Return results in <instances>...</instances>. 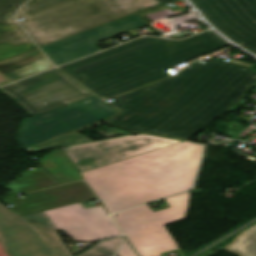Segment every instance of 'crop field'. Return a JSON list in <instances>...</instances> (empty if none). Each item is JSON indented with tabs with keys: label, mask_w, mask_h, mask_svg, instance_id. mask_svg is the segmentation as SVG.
Returning <instances> with one entry per match:
<instances>
[{
	"label": "crop field",
	"mask_w": 256,
	"mask_h": 256,
	"mask_svg": "<svg viewBox=\"0 0 256 256\" xmlns=\"http://www.w3.org/2000/svg\"><path fill=\"white\" fill-rule=\"evenodd\" d=\"M195 61L167 80L115 98L120 113L104 121L127 131L189 140L239 102L256 83L253 64Z\"/></svg>",
	"instance_id": "crop-field-1"
},
{
	"label": "crop field",
	"mask_w": 256,
	"mask_h": 256,
	"mask_svg": "<svg viewBox=\"0 0 256 256\" xmlns=\"http://www.w3.org/2000/svg\"><path fill=\"white\" fill-rule=\"evenodd\" d=\"M226 45L211 31L182 41L145 37L59 68L96 95L107 99L171 76L162 70Z\"/></svg>",
	"instance_id": "crop-field-2"
},
{
	"label": "crop field",
	"mask_w": 256,
	"mask_h": 256,
	"mask_svg": "<svg viewBox=\"0 0 256 256\" xmlns=\"http://www.w3.org/2000/svg\"><path fill=\"white\" fill-rule=\"evenodd\" d=\"M203 146L183 142L81 174L113 213L192 188Z\"/></svg>",
	"instance_id": "crop-field-3"
},
{
	"label": "crop field",
	"mask_w": 256,
	"mask_h": 256,
	"mask_svg": "<svg viewBox=\"0 0 256 256\" xmlns=\"http://www.w3.org/2000/svg\"><path fill=\"white\" fill-rule=\"evenodd\" d=\"M161 3L155 0H31L15 18L39 46Z\"/></svg>",
	"instance_id": "crop-field-4"
},
{
	"label": "crop field",
	"mask_w": 256,
	"mask_h": 256,
	"mask_svg": "<svg viewBox=\"0 0 256 256\" xmlns=\"http://www.w3.org/2000/svg\"><path fill=\"white\" fill-rule=\"evenodd\" d=\"M189 193L166 198L172 206L153 213L147 205L112 215L141 256L178 249L163 225L185 218Z\"/></svg>",
	"instance_id": "crop-field-5"
},
{
	"label": "crop field",
	"mask_w": 256,
	"mask_h": 256,
	"mask_svg": "<svg viewBox=\"0 0 256 256\" xmlns=\"http://www.w3.org/2000/svg\"><path fill=\"white\" fill-rule=\"evenodd\" d=\"M114 109L95 96L52 112L25 119L17 138L22 150L27 151L75 131H82L115 113Z\"/></svg>",
	"instance_id": "crop-field-6"
},
{
	"label": "crop field",
	"mask_w": 256,
	"mask_h": 256,
	"mask_svg": "<svg viewBox=\"0 0 256 256\" xmlns=\"http://www.w3.org/2000/svg\"><path fill=\"white\" fill-rule=\"evenodd\" d=\"M0 242L9 256H73L44 212L21 217L1 203Z\"/></svg>",
	"instance_id": "crop-field-7"
},
{
	"label": "crop field",
	"mask_w": 256,
	"mask_h": 256,
	"mask_svg": "<svg viewBox=\"0 0 256 256\" xmlns=\"http://www.w3.org/2000/svg\"><path fill=\"white\" fill-rule=\"evenodd\" d=\"M32 117L93 96L54 69L0 89Z\"/></svg>",
	"instance_id": "crop-field-8"
},
{
	"label": "crop field",
	"mask_w": 256,
	"mask_h": 256,
	"mask_svg": "<svg viewBox=\"0 0 256 256\" xmlns=\"http://www.w3.org/2000/svg\"><path fill=\"white\" fill-rule=\"evenodd\" d=\"M179 142L182 141L138 134L70 146L65 153L81 172Z\"/></svg>",
	"instance_id": "crop-field-9"
},
{
	"label": "crop field",
	"mask_w": 256,
	"mask_h": 256,
	"mask_svg": "<svg viewBox=\"0 0 256 256\" xmlns=\"http://www.w3.org/2000/svg\"><path fill=\"white\" fill-rule=\"evenodd\" d=\"M190 1L220 32L256 54V0Z\"/></svg>",
	"instance_id": "crop-field-10"
},
{
	"label": "crop field",
	"mask_w": 256,
	"mask_h": 256,
	"mask_svg": "<svg viewBox=\"0 0 256 256\" xmlns=\"http://www.w3.org/2000/svg\"><path fill=\"white\" fill-rule=\"evenodd\" d=\"M45 214L55 230L63 229L73 241L92 242L122 235L102 206L84 209L78 203Z\"/></svg>",
	"instance_id": "crop-field-11"
},
{
	"label": "crop field",
	"mask_w": 256,
	"mask_h": 256,
	"mask_svg": "<svg viewBox=\"0 0 256 256\" xmlns=\"http://www.w3.org/2000/svg\"><path fill=\"white\" fill-rule=\"evenodd\" d=\"M147 24V22L135 13L89 31L41 47V49L49 59L58 66L68 61L100 51V49L92 44L94 42Z\"/></svg>",
	"instance_id": "crop-field-12"
},
{
	"label": "crop field",
	"mask_w": 256,
	"mask_h": 256,
	"mask_svg": "<svg viewBox=\"0 0 256 256\" xmlns=\"http://www.w3.org/2000/svg\"><path fill=\"white\" fill-rule=\"evenodd\" d=\"M26 195L28 196L26 199L15 200L11 198L3 201L12 204L14 207L11 209L24 216L95 198L84 182H76Z\"/></svg>",
	"instance_id": "crop-field-13"
},
{
	"label": "crop field",
	"mask_w": 256,
	"mask_h": 256,
	"mask_svg": "<svg viewBox=\"0 0 256 256\" xmlns=\"http://www.w3.org/2000/svg\"><path fill=\"white\" fill-rule=\"evenodd\" d=\"M27 0H0V61L37 47L12 19L14 11Z\"/></svg>",
	"instance_id": "crop-field-14"
},
{
	"label": "crop field",
	"mask_w": 256,
	"mask_h": 256,
	"mask_svg": "<svg viewBox=\"0 0 256 256\" xmlns=\"http://www.w3.org/2000/svg\"><path fill=\"white\" fill-rule=\"evenodd\" d=\"M51 67H53V65L38 49L2 61L0 62V86L36 74Z\"/></svg>",
	"instance_id": "crop-field-15"
},
{
	"label": "crop field",
	"mask_w": 256,
	"mask_h": 256,
	"mask_svg": "<svg viewBox=\"0 0 256 256\" xmlns=\"http://www.w3.org/2000/svg\"><path fill=\"white\" fill-rule=\"evenodd\" d=\"M39 163L59 185L82 179L71 166L61 149L52 152L40 160Z\"/></svg>",
	"instance_id": "crop-field-16"
},
{
	"label": "crop field",
	"mask_w": 256,
	"mask_h": 256,
	"mask_svg": "<svg viewBox=\"0 0 256 256\" xmlns=\"http://www.w3.org/2000/svg\"><path fill=\"white\" fill-rule=\"evenodd\" d=\"M52 186H56V184L47 174L39 169L23 174L17 181H13L5 187L15 191L16 193H26Z\"/></svg>",
	"instance_id": "crop-field-17"
},
{
	"label": "crop field",
	"mask_w": 256,
	"mask_h": 256,
	"mask_svg": "<svg viewBox=\"0 0 256 256\" xmlns=\"http://www.w3.org/2000/svg\"><path fill=\"white\" fill-rule=\"evenodd\" d=\"M225 250L241 256H256V224L237 236Z\"/></svg>",
	"instance_id": "crop-field-18"
},
{
	"label": "crop field",
	"mask_w": 256,
	"mask_h": 256,
	"mask_svg": "<svg viewBox=\"0 0 256 256\" xmlns=\"http://www.w3.org/2000/svg\"><path fill=\"white\" fill-rule=\"evenodd\" d=\"M86 142H92V140L80 133L75 132L73 134L67 135L65 137H62L60 139H57V140L47 143L45 145H42V146H39L32 150H29L27 152L28 153L38 152V151L54 149V148H59V147H65V146H70V145H76V144H81V143H86Z\"/></svg>",
	"instance_id": "crop-field-19"
},
{
	"label": "crop field",
	"mask_w": 256,
	"mask_h": 256,
	"mask_svg": "<svg viewBox=\"0 0 256 256\" xmlns=\"http://www.w3.org/2000/svg\"><path fill=\"white\" fill-rule=\"evenodd\" d=\"M123 237L99 242L87 251L77 255V256H107L115 254L117 248L119 247Z\"/></svg>",
	"instance_id": "crop-field-20"
},
{
	"label": "crop field",
	"mask_w": 256,
	"mask_h": 256,
	"mask_svg": "<svg viewBox=\"0 0 256 256\" xmlns=\"http://www.w3.org/2000/svg\"><path fill=\"white\" fill-rule=\"evenodd\" d=\"M117 254L119 256H137V254L134 252V250L125 239Z\"/></svg>",
	"instance_id": "crop-field-21"
},
{
	"label": "crop field",
	"mask_w": 256,
	"mask_h": 256,
	"mask_svg": "<svg viewBox=\"0 0 256 256\" xmlns=\"http://www.w3.org/2000/svg\"><path fill=\"white\" fill-rule=\"evenodd\" d=\"M158 1L162 2L163 4H168L177 0H158Z\"/></svg>",
	"instance_id": "crop-field-22"
}]
</instances>
